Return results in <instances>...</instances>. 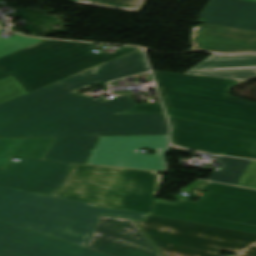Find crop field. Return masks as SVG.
Returning a JSON list of instances; mask_svg holds the SVG:
<instances>
[{
  "instance_id": "ac0d7876",
  "label": "crop field",
  "mask_w": 256,
  "mask_h": 256,
  "mask_svg": "<svg viewBox=\"0 0 256 256\" xmlns=\"http://www.w3.org/2000/svg\"><path fill=\"white\" fill-rule=\"evenodd\" d=\"M152 72L168 115L256 133V103L228 95L241 81Z\"/></svg>"
},
{
  "instance_id": "28ad6ade",
  "label": "crop field",
  "mask_w": 256,
  "mask_h": 256,
  "mask_svg": "<svg viewBox=\"0 0 256 256\" xmlns=\"http://www.w3.org/2000/svg\"><path fill=\"white\" fill-rule=\"evenodd\" d=\"M75 164L21 159L0 170V186L53 195L62 188Z\"/></svg>"
},
{
  "instance_id": "bc2a9ffb",
  "label": "crop field",
  "mask_w": 256,
  "mask_h": 256,
  "mask_svg": "<svg viewBox=\"0 0 256 256\" xmlns=\"http://www.w3.org/2000/svg\"><path fill=\"white\" fill-rule=\"evenodd\" d=\"M98 137L57 136L45 159L85 163Z\"/></svg>"
},
{
  "instance_id": "3316defc",
  "label": "crop field",
  "mask_w": 256,
  "mask_h": 256,
  "mask_svg": "<svg viewBox=\"0 0 256 256\" xmlns=\"http://www.w3.org/2000/svg\"><path fill=\"white\" fill-rule=\"evenodd\" d=\"M168 135L101 137L88 163L164 170ZM139 148L155 149V154H139Z\"/></svg>"
},
{
  "instance_id": "dafd665d",
  "label": "crop field",
  "mask_w": 256,
  "mask_h": 256,
  "mask_svg": "<svg viewBox=\"0 0 256 256\" xmlns=\"http://www.w3.org/2000/svg\"><path fill=\"white\" fill-rule=\"evenodd\" d=\"M1 30L2 29L0 28V31ZM42 40L43 39L29 38L17 34H15L10 39L0 37V58L13 52H16L18 50H21L23 48H26Z\"/></svg>"
},
{
  "instance_id": "5142ce71",
  "label": "crop field",
  "mask_w": 256,
  "mask_h": 256,
  "mask_svg": "<svg viewBox=\"0 0 256 256\" xmlns=\"http://www.w3.org/2000/svg\"><path fill=\"white\" fill-rule=\"evenodd\" d=\"M190 43V50L256 52V32L202 24L193 27Z\"/></svg>"
},
{
  "instance_id": "00972430",
  "label": "crop field",
  "mask_w": 256,
  "mask_h": 256,
  "mask_svg": "<svg viewBox=\"0 0 256 256\" xmlns=\"http://www.w3.org/2000/svg\"><path fill=\"white\" fill-rule=\"evenodd\" d=\"M23 94L25 92L10 76L0 80V103Z\"/></svg>"
},
{
  "instance_id": "4a817a6b",
  "label": "crop field",
  "mask_w": 256,
  "mask_h": 256,
  "mask_svg": "<svg viewBox=\"0 0 256 256\" xmlns=\"http://www.w3.org/2000/svg\"><path fill=\"white\" fill-rule=\"evenodd\" d=\"M55 138L0 139V169L12 157L44 159Z\"/></svg>"
},
{
  "instance_id": "733c2abd",
  "label": "crop field",
  "mask_w": 256,
  "mask_h": 256,
  "mask_svg": "<svg viewBox=\"0 0 256 256\" xmlns=\"http://www.w3.org/2000/svg\"><path fill=\"white\" fill-rule=\"evenodd\" d=\"M198 21L256 31V3L244 0H211Z\"/></svg>"
},
{
  "instance_id": "e52e79f7",
  "label": "crop field",
  "mask_w": 256,
  "mask_h": 256,
  "mask_svg": "<svg viewBox=\"0 0 256 256\" xmlns=\"http://www.w3.org/2000/svg\"><path fill=\"white\" fill-rule=\"evenodd\" d=\"M137 105L130 95L91 100L75 92L0 132V137L57 136Z\"/></svg>"
},
{
  "instance_id": "dd49c442",
  "label": "crop field",
  "mask_w": 256,
  "mask_h": 256,
  "mask_svg": "<svg viewBox=\"0 0 256 256\" xmlns=\"http://www.w3.org/2000/svg\"><path fill=\"white\" fill-rule=\"evenodd\" d=\"M197 203L155 202L150 214L256 233V191L208 183Z\"/></svg>"
},
{
  "instance_id": "cbeb9de0",
  "label": "crop field",
  "mask_w": 256,
  "mask_h": 256,
  "mask_svg": "<svg viewBox=\"0 0 256 256\" xmlns=\"http://www.w3.org/2000/svg\"><path fill=\"white\" fill-rule=\"evenodd\" d=\"M168 134L163 114L111 115L61 136H115Z\"/></svg>"
},
{
  "instance_id": "412701ff",
  "label": "crop field",
  "mask_w": 256,
  "mask_h": 256,
  "mask_svg": "<svg viewBox=\"0 0 256 256\" xmlns=\"http://www.w3.org/2000/svg\"><path fill=\"white\" fill-rule=\"evenodd\" d=\"M160 182L161 176L151 171L75 165L57 196L149 213Z\"/></svg>"
},
{
  "instance_id": "f4fd0767",
  "label": "crop field",
  "mask_w": 256,
  "mask_h": 256,
  "mask_svg": "<svg viewBox=\"0 0 256 256\" xmlns=\"http://www.w3.org/2000/svg\"><path fill=\"white\" fill-rule=\"evenodd\" d=\"M137 221L164 256H256L254 233L153 215Z\"/></svg>"
},
{
  "instance_id": "ae1a2a85",
  "label": "crop field",
  "mask_w": 256,
  "mask_h": 256,
  "mask_svg": "<svg viewBox=\"0 0 256 256\" xmlns=\"http://www.w3.org/2000/svg\"><path fill=\"white\" fill-rule=\"evenodd\" d=\"M252 1H256V0H252Z\"/></svg>"
},
{
  "instance_id": "d9b57169",
  "label": "crop field",
  "mask_w": 256,
  "mask_h": 256,
  "mask_svg": "<svg viewBox=\"0 0 256 256\" xmlns=\"http://www.w3.org/2000/svg\"><path fill=\"white\" fill-rule=\"evenodd\" d=\"M185 74L247 81L256 77V54H212Z\"/></svg>"
},
{
  "instance_id": "5a996713",
  "label": "crop field",
  "mask_w": 256,
  "mask_h": 256,
  "mask_svg": "<svg viewBox=\"0 0 256 256\" xmlns=\"http://www.w3.org/2000/svg\"><path fill=\"white\" fill-rule=\"evenodd\" d=\"M168 117L174 145L214 154L256 159V134Z\"/></svg>"
},
{
  "instance_id": "92a150f3",
  "label": "crop field",
  "mask_w": 256,
  "mask_h": 256,
  "mask_svg": "<svg viewBox=\"0 0 256 256\" xmlns=\"http://www.w3.org/2000/svg\"><path fill=\"white\" fill-rule=\"evenodd\" d=\"M147 1L148 0H76V3L140 13Z\"/></svg>"
},
{
  "instance_id": "8a807250",
  "label": "crop field",
  "mask_w": 256,
  "mask_h": 256,
  "mask_svg": "<svg viewBox=\"0 0 256 256\" xmlns=\"http://www.w3.org/2000/svg\"><path fill=\"white\" fill-rule=\"evenodd\" d=\"M90 205L0 187V221L84 248L99 215L140 220H146L150 215Z\"/></svg>"
},
{
  "instance_id": "22f410ed",
  "label": "crop field",
  "mask_w": 256,
  "mask_h": 256,
  "mask_svg": "<svg viewBox=\"0 0 256 256\" xmlns=\"http://www.w3.org/2000/svg\"><path fill=\"white\" fill-rule=\"evenodd\" d=\"M0 256H107L0 222Z\"/></svg>"
},
{
  "instance_id": "730fd06b",
  "label": "crop field",
  "mask_w": 256,
  "mask_h": 256,
  "mask_svg": "<svg viewBox=\"0 0 256 256\" xmlns=\"http://www.w3.org/2000/svg\"><path fill=\"white\" fill-rule=\"evenodd\" d=\"M132 78H134L136 82H139L138 79H141V78H144L146 81H152L150 73L141 74L139 76H135V77H132ZM123 81H125V79H123ZM117 82L118 81L111 82L110 85H117L116 84Z\"/></svg>"
},
{
  "instance_id": "a9b5d70f",
  "label": "crop field",
  "mask_w": 256,
  "mask_h": 256,
  "mask_svg": "<svg viewBox=\"0 0 256 256\" xmlns=\"http://www.w3.org/2000/svg\"><path fill=\"white\" fill-rule=\"evenodd\" d=\"M163 113L161 104L137 105L116 114Z\"/></svg>"
},
{
  "instance_id": "d1516ede",
  "label": "crop field",
  "mask_w": 256,
  "mask_h": 256,
  "mask_svg": "<svg viewBox=\"0 0 256 256\" xmlns=\"http://www.w3.org/2000/svg\"><path fill=\"white\" fill-rule=\"evenodd\" d=\"M86 248L111 256H160L133 220L104 216Z\"/></svg>"
},
{
  "instance_id": "34b2d1b8",
  "label": "crop field",
  "mask_w": 256,
  "mask_h": 256,
  "mask_svg": "<svg viewBox=\"0 0 256 256\" xmlns=\"http://www.w3.org/2000/svg\"><path fill=\"white\" fill-rule=\"evenodd\" d=\"M99 47L45 40L1 58L0 79L11 75L29 92L139 49L123 46L114 54H92Z\"/></svg>"
},
{
  "instance_id": "d8731c3e",
  "label": "crop field",
  "mask_w": 256,
  "mask_h": 256,
  "mask_svg": "<svg viewBox=\"0 0 256 256\" xmlns=\"http://www.w3.org/2000/svg\"><path fill=\"white\" fill-rule=\"evenodd\" d=\"M149 70L143 51H137L68 79L0 104V131L43 109L51 102L94 83Z\"/></svg>"
},
{
  "instance_id": "4177f3b9",
  "label": "crop field",
  "mask_w": 256,
  "mask_h": 256,
  "mask_svg": "<svg viewBox=\"0 0 256 256\" xmlns=\"http://www.w3.org/2000/svg\"><path fill=\"white\" fill-rule=\"evenodd\" d=\"M238 185L256 189V161H252Z\"/></svg>"
},
{
  "instance_id": "eef30255",
  "label": "crop field",
  "mask_w": 256,
  "mask_h": 256,
  "mask_svg": "<svg viewBox=\"0 0 256 256\" xmlns=\"http://www.w3.org/2000/svg\"><path fill=\"white\" fill-rule=\"evenodd\" d=\"M112 94H129L127 91L111 92Z\"/></svg>"
},
{
  "instance_id": "214f88e0",
  "label": "crop field",
  "mask_w": 256,
  "mask_h": 256,
  "mask_svg": "<svg viewBox=\"0 0 256 256\" xmlns=\"http://www.w3.org/2000/svg\"><path fill=\"white\" fill-rule=\"evenodd\" d=\"M214 161L220 163L221 170L213 172L209 180L237 185L252 160L219 156Z\"/></svg>"
}]
</instances>
